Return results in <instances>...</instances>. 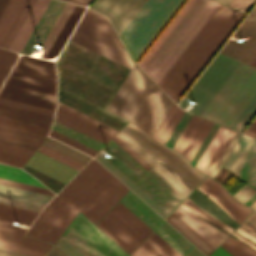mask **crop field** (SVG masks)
Here are the masks:
<instances>
[{"instance_id":"8a807250","label":"crop field","mask_w":256,"mask_h":256,"mask_svg":"<svg viewBox=\"0 0 256 256\" xmlns=\"http://www.w3.org/2000/svg\"><path fill=\"white\" fill-rule=\"evenodd\" d=\"M58 101L118 130L127 122L106 109L129 69L68 40L57 62ZM70 91L82 99L64 91Z\"/></svg>"},{"instance_id":"ac0d7876","label":"crop field","mask_w":256,"mask_h":256,"mask_svg":"<svg viewBox=\"0 0 256 256\" xmlns=\"http://www.w3.org/2000/svg\"><path fill=\"white\" fill-rule=\"evenodd\" d=\"M242 15L243 13L220 4L163 77L158 85L175 102Z\"/></svg>"},{"instance_id":"34b2d1b8","label":"crop field","mask_w":256,"mask_h":256,"mask_svg":"<svg viewBox=\"0 0 256 256\" xmlns=\"http://www.w3.org/2000/svg\"><path fill=\"white\" fill-rule=\"evenodd\" d=\"M54 62L20 56L0 90V104L54 117Z\"/></svg>"},{"instance_id":"412701ff","label":"crop field","mask_w":256,"mask_h":256,"mask_svg":"<svg viewBox=\"0 0 256 256\" xmlns=\"http://www.w3.org/2000/svg\"><path fill=\"white\" fill-rule=\"evenodd\" d=\"M218 5L212 0H188L140 60L138 64L157 84Z\"/></svg>"},{"instance_id":"f4fd0767","label":"crop field","mask_w":256,"mask_h":256,"mask_svg":"<svg viewBox=\"0 0 256 256\" xmlns=\"http://www.w3.org/2000/svg\"><path fill=\"white\" fill-rule=\"evenodd\" d=\"M153 85L170 101H168ZM108 106L107 110L123 117L141 129L153 135L154 131L165 117L172 101L161 91V89L141 70L136 64Z\"/></svg>"},{"instance_id":"dd49c442","label":"crop field","mask_w":256,"mask_h":256,"mask_svg":"<svg viewBox=\"0 0 256 256\" xmlns=\"http://www.w3.org/2000/svg\"><path fill=\"white\" fill-rule=\"evenodd\" d=\"M128 191L92 159L58 196L96 224Z\"/></svg>"},{"instance_id":"e52e79f7","label":"crop field","mask_w":256,"mask_h":256,"mask_svg":"<svg viewBox=\"0 0 256 256\" xmlns=\"http://www.w3.org/2000/svg\"><path fill=\"white\" fill-rule=\"evenodd\" d=\"M256 113V69L240 63L200 116L239 132Z\"/></svg>"},{"instance_id":"d8731c3e","label":"crop field","mask_w":256,"mask_h":256,"mask_svg":"<svg viewBox=\"0 0 256 256\" xmlns=\"http://www.w3.org/2000/svg\"><path fill=\"white\" fill-rule=\"evenodd\" d=\"M116 136L186 196L205 177V175L196 171L180 154L131 123H127ZM155 159L171 171L191 190Z\"/></svg>"},{"instance_id":"5a996713","label":"crop field","mask_w":256,"mask_h":256,"mask_svg":"<svg viewBox=\"0 0 256 256\" xmlns=\"http://www.w3.org/2000/svg\"><path fill=\"white\" fill-rule=\"evenodd\" d=\"M179 0H147L121 33L136 58Z\"/></svg>"},{"instance_id":"3316defc","label":"crop field","mask_w":256,"mask_h":256,"mask_svg":"<svg viewBox=\"0 0 256 256\" xmlns=\"http://www.w3.org/2000/svg\"><path fill=\"white\" fill-rule=\"evenodd\" d=\"M97 226L128 254L153 231L120 202Z\"/></svg>"},{"instance_id":"28ad6ade","label":"crop field","mask_w":256,"mask_h":256,"mask_svg":"<svg viewBox=\"0 0 256 256\" xmlns=\"http://www.w3.org/2000/svg\"><path fill=\"white\" fill-rule=\"evenodd\" d=\"M236 63L237 61L218 54L213 62L209 65V67L205 70V72L201 75V77L197 80V82L193 85V87L189 90V92L185 95V97L181 100L179 103L180 107L185 108L187 104L193 100L197 103L192 107L190 111L197 114L209 99V97L225 79L228 73L236 65ZM238 64L239 62L222 82V84L218 87V89L214 92V94L210 97L203 108L199 111L198 115L215 95V93L219 90V88L223 85V83L227 80L234 69L238 66Z\"/></svg>"},{"instance_id":"d1516ede","label":"crop field","mask_w":256,"mask_h":256,"mask_svg":"<svg viewBox=\"0 0 256 256\" xmlns=\"http://www.w3.org/2000/svg\"><path fill=\"white\" fill-rule=\"evenodd\" d=\"M79 212L55 196L26 234L54 244Z\"/></svg>"},{"instance_id":"22f410ed","label":"crop field","mask_w":256,"mask_h":256,"mask_svg":"<svg viewBox=\"0 0 256 256\" xmlns=\"http://www.w3.org/2000/svg\"><path fill=\"white\" fill-rule=\"evenodd\" d=\"M55 120L80 131L104 144L111 138L117 143L124 151H126L133 159H135L141 166L147 171L151 167L142 158H140L135 152H133L127 145H125L116 136L113 138L117 130L94 120L72 108H69L58 102L57 113Z\"/></svg>"},{"instance_id":"cbeb9de0","label":"crop field","mask_w":256,"mask_h":256,"mask_svg":"<svg viewBox=\"0 0 256 256\" xmlns=\"http://www.w3.org/2000/svg\"><path fill=\"white\" fill-rule=\"evenodd\" d=\"M66 230L96 256H128L80 213Z\"/></svg>"},{"instance_id":"5142ce71","label":"crop field","mask_w":256,"mask_h":256,"mask_svg":"<svg viewBox=\"0 0 256 256\" xmlns=\"http://www.w3.org/2000/svg\"><path fill=\"white\" fill-rule=\"evenodd\" d=\"M85 8L66 3L43 42V45L47 46L41 55L42 58H53L59 53Z\"/></svg>"},{"instance_id":"d9b57169","label":"crop field","mask_w":256,"mask_h":256,"mask_svg":"<svg viewBox=\"0 0 256 256\" xmlns=\"http://www.w3.org/2000/svg\"><path fill=\"white\" fill-rule=\"evenodd\" d=\"M136 185L169 214L186 197L153 168Z\"/></svg>"},{"instance_id":"733c2abd","label":"crop field","mask_w":256,"mask_h":256,"mask_svg":"<svg viewBox=\"0 0 256 256\" xmlns=\"http://www.w3.org/2000/svg\"><path fill=\"white\" fill-rule=\"evenodd\" d=\"M233 36L245 40L244 43L240 44L229 40L220 52L249 64L256 55V6ZM250 65L256 67V56Z\"/></svg>"},{"instance_id":"4a817a6b","label":"crop field","mask_w":256,"mask_h":256,"mask_svg":"<svg viewBox=\"0 0 256 256\" xmlns=\"http://www.w3.org/2000/svg\"><path fill=\"white\" fill-rule=\"evenodd\" d=\"M146 0H96L91 8L108 16L118 36Z\"/></svg>"},{"instance_id":"bc2a9ffb","label":"crop field","mask_w":256,"mask_h":256,"mask_svg":"<svg viewBox=\"0 0 256 256\" xmlns=\"http://www.w3.org/2000/svg\"><path fill=\"white\" fill-rule=\"evenodd\" d=\"M34 1H8L0 15V46L8 48Z\"/></svg>"},{"instance_id":"214f88e0","label":"crop field","mask_w":256,"mask_h":256,"mask_svg":"<svg viewBox=\"0 0 256 256\" xmlns=\"http://www.w3.org/2000/svg\"><path fill=\"white\" fill-rule=\"evenodd\" d=\"M197 188L212 199L239 224L253 211L233 199L220 184L209 177Z\"/></svg>"},{"instance_id":"92a150f3","label":"crop field","mask_w":256,"mask_h":256,"mask_svg":"<svg viewBox=\"0 0 256 256\" xmlns=\"http://www.w3.org/2000/svg\"><path fill=\"white\" fill-rule=\"evenodd\" d=\"M212 126L213 123L193 115L187 127L185 126L184 132L182 131L183 133L179 140L177 139L178 141L173 149L181 153L191 162L195 152L200 147Z\"/></svg>"},{"instance_id":"dafd665d","label":"crop field","mask_w":256,"mask_h":256,"mask_svg":"<svg viewBox=\"0 0 256 256\" xmlns=\"http://www.w3.org/2000/svg\"><path fill=\"white\" fill-rule=\"evenodd\" d=\"M71 40L131 69L133 62L125 52V50L98 38L77 27L76 31L71 37Z\"/></svg>"},{"instance_id":"00972430","label":"crop field","mask_w":256,"mask_h":256,"mask_svg":"<svg viewBox=\"0 0 256 256\" xmlns=\"http://www.w3.org/2000/svg\"><path fill=\"white\" fill-rule=\"evenodd\" d=\"M51 196L0 185V203L40 212Z\"/></svg>"},{"instance_id":"a9b5d70f","label":"crop field","mask_w":256,"mask_h":256,"mask_svg":"<svg viewBox=\"0 0 256 256\" xmlns=\"http://www.w3.org/2000/svg\"><path fill=\"white\" fill-rule=\"evenodd\" d=\"M215 249L229 235L205 223L183 203L173 212Z\"/></svg>"},{"instance_id":"4177f3b9","label":"crop field","mask_w":256,"mask_h":256,"mask_svg":"<svg viewBox=\"0 0 256 256\" xmlns=\"http://www.w3.org/2000/svg\"><path fill=\"white\" fill-rule=\"evenodd\" d=\"M65 2L51 0L45 9L43 15L29 36L27 42L21 50V53L29 54L34 48L36 43L42 44L48 30L62 10Z\"/></svg>"},{"instance_id":"730fd06b","label":"crop field","mask_w":256,"mask_h":256,"mask_svg":"<svg viewBox=\"0 0 256 256\" xmlns=\"http://www.w3.org/2000/svg\"><path fill=\"white\" fill-rule=\"evenodd\" d=\"M26 165L65 184L77 172V170L38 151H36Z\"/></svg>"},{"instance_id":"eef30255","label":"crop field","mask_w":256,"mask_h":256,"mask_svg":"<svg viewBox=\"0 0 256 256\" xmlns=\"http://www.w3.org/2000/svg\"><path fill=\"white\" fill-rule=\"evenodd\" d=\"M103 149L113 156L107 160L134 184L147 172L112 140Z\"/></svg>"},{"instance_id":"ae1a2a85","label":"crop field","mask_w":256,"mask_h":256,"mask_svg":"<svg viewBox=\"0 0 256 256\" xmlns=\"http://www.w3.org/2000/svg\"><path fill=\"white\" fill-rule=\"evenodd\" d=\"M78 26L123 48L107 18L90 9H86Z\"/></svg>"},{"instance_id":"d3111659","label":"crop field","mask_w":256,"mask_h":256,"mask_svg":"<svg viewBox=\"0 0 256 256\" xmlns=\"http://www.w3.org/2000/svg\"><path fill=\"white\" fill-rule=\"evenodd\" d=\"M50 0H36L32 6L30 12L22 23L20 29L18 30L16 36L11 42L9 49L20 52L24 43L26 42L28 36L42 15L44 9Z\"/></svg>"},{"instance_id":"750c4746","label":"crop field","mask_w":256,"mask_h":256,"mask_svg":"<svg viewBox=\"0 0 256 256\" xmlns=\"http://www.w3.org/2000/svg\"><path fill=\"white\" fill-rule=\"evenodd\" d=\"M37 214V212L0 204V229L24 234L26 229L13 226L14 222L30 225Z\"/></svg>"},{"instance_id":"bd1437ed","label":"crop field","mask_w":256,"mask_h":256,"mask_svg":"<svg viewBox=\"0 0 256 256\" xmlns=\"http://www.w3.org/2000/svg\"><path fill=\"white\" fill-rule=\"evenodd\" d=\"M153 230L163 221L152 209L129 191L120 201Z\"/></svg>"},{"instance_id":"1d83c4d3","label":"crop field","mask_w":256,"mask_h":256,"mask_svg":"<svg viewBox=\"0 0 256 256\" xmlns=\"http://www.w3.org/2000/svg\"><path fill=\"white\" fill-rule=\"evenodd\" d=\"M131 256H182L154 232Z\"/></svg>"},{"instance_id":"120bbe31","label":"crop field","mask_w":256,"mask_h":256,"mask_svg":"<svg viewBox=\"0 0 256 256\" xmlns=\"http://www.w3.org/2000/svg\"><path fill=\"white\" fill-rule=\"evenodd\" d=\"M0 116L47 127V128L50 127V124L53 119L51 117H47V116L19 110V109H15V108L3 106V105H0Z\"/></svg>"},{"instance_id":"d32e631a","label":"crop field","mask_w":256,"mask_h":256,"mask_svg":"<svg viewBox=\"0 0 256 256\" xmlns=\"http://www.w3.org/2000/svg\"><path fill=\"white\" fill-rule=\"evenodd\" d=\"M183 256L193 247L181 234H179L166 221H163L154 231Z\"/></svg>"},{"instance_id":"5866460e","label":"crop field","mask_w":256,"mask_h":256,"mask_svg":"<svg viewBox=\"0 0 256 256\" xmlns=\"http://www.w3.org/2000/svg\"><path fill=\"white\" fill-rule=\"evenodd\" d=\"M166 221L170 223L175 229H177L182 235H184L207 256H209L215 250L173 213L166 219Z\"/></svg>"},{"instance_id":"028f5c9d","label":"crop field","mask_w":256,"mask_h":256,"mask_svg":"<svg viewBox=\"0 0 256 256\" xmlns=\"http://www.w3.org/2000/svg\"><path fill=\"white\" fill-rule=\"evenodd\" d=\"M237 176L256 188V139L254 138Z\"/></svg>"},{"instance_id":"e1f06a70","label":"crop field","mask_w":256,"mask_h":256,"mask_svg":"<svg viewBox=\"0 0 256 256\" xmlns=\"http://www.w3.org/2000/svg\"><path fill=\"white\" fill-rule=\"evenodd\" d=\"M0 241L47 252L52 246L26 235L0 230Z\"/></svg>"},{"instance_id":"0bd39190","label":"crop field","mask_w":256,"mask_h":256,"mask_svg":"<svg viewBox=\"0 0 256 256\" xmlns=\"http://www.w3.org/2000/svg\"><path fill=\"white\" fill-rule=\"evenodd\" d=\"M251 139V137L241 135L240 139L236 143L235 147L233 148L232 152L230 153L229 157L223 165L224 167L232 170L235 175L239 170V167L246 154Z\"/></svg>"},{"instance_id":"b80d0937","label":"crop field","mask_w":256,"mask_h":256,"mask_svg":"<svg viewBox=\"0 0 256 256\" xmlns=\"http://www.w3.org/2000/svg\"><path fill=\"white\" fill-rule=\"evenodd\" d=\"M0 137L39 146L45 136L0 126Z\"/></svg>"},{"instance_id":"c035e120","label":"crop field","mask_w":256,"mask_h":256,"mask_svg":"<svg viewBox=\"0 0 256 256\" xmlns=\"http://www.w3.org/2000/svg\"><path fill=\"white\" fill-rule=\"evenodd\" d=\"M183 113V110L179 109L175 104H173L172 108L164 118L154 137L165 143Z\"/></svg>"},{"instance_id":"c21b1889","label":"crop field","mask_w":256,"mask_h":256,"mask_svg":"<svg viewBox=\"0 0 256 256\" xmlns=\"http://www.w3.org/2000/svg\"><path fill=\"white\" fill-rule=\"evenodd\" d=\"M51 128L72 138V139H75V140H77V141L97 150V151H99L104 146V144H102V143L82 134V133H79V132H77V131H75V130L55 121V120L53 121Z\"/></svg>"},{"instance_id":"03da06ac","label":"crop field","mask_w":256,"mask_h":256,"mask_svg":"<svg viewBox=\"0 0 256 256\" xmlns=\"http://www.w3.org/2000/svg\"><path fill=\"white\" fill-rule=\"evenodd\" d=\"M0 177L45 187L21 169L0 164Z\"/></svg>"},{"instance_id":"b54c1fbb","label":"crop field","mask_w":256,"mask_h":256,"mask_svg":"<svg viewBox=\"0 0 256 256\" xmlns=\"http://www.w3.org/2000/svg\"><path fill=\"white\" fill-rule=\"evenodd\" d=\"M43 145L55 150V151H58L68 157H71L83 164H85L89 159L90 157L77 151V150H74L64 144H61L49 137L46 138V140L44 141Z\"/></svg>"},{"instance_id":"5d738f31","label":"crop field","mask_w":256,"mask_h":256,"mask_svg":"<svg viewBox=\"0 0 256 256\" xmlns=\"http://www.w3.org/2000/svg\"><path fill=\"white\" fill-rule=\"evenodd\" d=\"M232 256H256V252L233 237H229L221 245Z\"/></svg>"},{"instance_id":"d23c7cc5","label":"crop field","mask_w":256,"mask_h":256,"mask_svg":"<svg viewBox=\"0 0 256 256\" xmlns=\"http://www.w3.org/2000/svg\"><path fill=\"white\" fill-rule=\"evenodd\" d=\"M226 131H227V128H224V127L220 126L217 133L215 134V136L211 140L210 144L206 148L205 152L203 153V155L199 159V161H198V163L196 164L195 167L197 169H199L201 172H202L203 168L205 167V165L207 164L208 160L210 159L211 155L215 151V149L218 146L219 142L221 141L222 137L226 133Z\"/></svg>"},{"instance_id":"425ffa30","label":"crop field","mask_w":256,"mask_h":256,"mask_svg":"<svg viewBox=\"0 0 256 256\" xmlns=\"http://www.w3.org/2000/svg\"><path fill=\"white\" fill-rule=\"evenodd\" d=\"M16 57L17 54L13 51L0 48V86L13 65Z\"/></svg>"},{"instance_id":"25e5ab78","label":"crop field","mask_w":256,"mask_h":256,"mask_svg":"<svg viewBox=\"0 0 256 256\" xmlns=\"http://www.w3.org/2000/svg\"><path fill=\"white\" fill-rule=\"evenodd\" d=\"M185 205H187L191 210H193L196 214H198L200 217H202L207 222L221 228L222 230L228 232L231 234L233 229L227 227L223 222L213 218L211 215H209L207 212H205L203 209L197 207L193 202H191L188 198L183 202ZM193 212V213H194Z\"/></svg>"},{"instance_id":"73cf0c24","label":"crop field","mask_w":256,"mask_h":256,"mask_svg":"<svg viewBox=\"0 0 256 256\" xmlns=\"http://www.w3.org/2000/svg\"><path fill=\"white\" fill-rule=\"evenodd\" d=\"M234 134H235V131H232V130L228 129L227 133L225 134V136L222 139L221 143L219 144L218 148L216 149V151L214 152L210 161L208 162L207 166L205 167L203 173L209 175L212 168L214 167V165L218 161L219 157L221 156V154L225 150L226 146L228 145V143L230 142V140L232 139Z\"/></svg>"},{"instance_id":"89e229c0","label":"crop field","mask_w":256,"mask_h":256,"mask_svg":"<svg viewBox=\"0 0 256 256\" xmlns=\"http://www.w3.org/2000/svg\"><path fill=\"white\" fill-rule=\"evenodd\" d=\"M0 125L13 127V128H17V129H22V130H26V131H31V132H35V133H40V134H44V135H46L49 130L47 128H43V127L31 125V124H26V123H22V122L10 120V119H5V118H1V117H0Z\"/></svg>"},{"instance_id":"1f2cbd36","label":"crop field","mask_w":256,"mask_h":256,"mask_svg":"<svg viewBox=\"0 0 256 256\" xmlns=\"http://www.w3.org/2000/svg\"><path fill=\"white\" fill-rule=\"evenodd\" d=\"M48 135L66 143L68 145H71V146H73V147L91 155V156H94L97 153V151H95V150H93V149H91V148H89V147H87V146H85V145H83V144H81L77 141H74V140H72V139H70V138L52 130V129L50 130Z\"/></svg>"},{"instance_id":"dbb93151","label":"crop field","mask_w":256,"mask_h":256,"mask_svg":"<svg viewBox=\"0 0 256 256\" xmlns=\"http://www.w3.org/2000/svg\"><path fill=\"white\" fill-rule=\"evenodd\" d=\"M38 151H40V152H42V153H44L48 156H51V157L65 163V164L77 169V170H79L83 166V164H81V163H79V162H77V161H75L71 158H68V157H66V156H64V155H62L58 152H55V151H53V150H51V149H49V148H47L43 145L40 146Z\"/></svg>"},{"instance_id":"0fb4a251","label":"crop field","mask_w":256,"mask_h":256,"mask_svg":"<svg viewBox=\"0 0 256 256\" xmlns=\"http://www.w3.org/2000/svg\"><path fill=\"white\" fill-rule=\"evenodd\" d=\"M0 183L53 196V193L49 189L38 187V186H33V185L16 182L8 179H3V178H0Z\"/></svg>"},{"instance_id":"1d79db26","label":"crop field","mask_w":256,"mask_h":256,"mask_svg":"<svg viewBox=\"0 0 256 256\" xmlns=\"http://www.w3.org/2000/svg\"><path fill=\"white\" fill-rule=\"evenodd\" d=\"M134 193H136L142 200H144L150 207H152L158 214H160L163 218H166L169 214L164 211L158 204H156L149 196H147L141 189H139L136 185L132 189Z\"/></svg>"},{"instance_id":"9d1cf04e","label":"crop field","mask_w":256,"mask_h":256,"mask_svg":"<svg viewBox=\"0 0 256 256\" xmlns=\"http://www.w3.org/2000/svg\"><path fill=\"white\" fill-rule=\"evenodd\" d=\"M0 151L27 157V158H30L31 155L34 153L33 150H29V149L9 145V144H4V143H0Z\"/></svg>"},{"instance_id":"447ae74e","label":"crop field","mask_w":256,"mask_h":256,"mask_svg":"<svg viewBox=\"0 0 256 256\" xmlns=\"http://www.w3.org/2000/svg\"><path fill=\"white\" fill-rule=\"evenodd\" d=\"M98 161H100L107 169H109L115 176H117L124 184H126L129 188H131L134 184L129 181L122 173H120L113 165H111L104 157H102L99 153L95 157ZM99 162V163H100Z\"/></svg>"},{"instance_id":"0765c3eb","label":"crop field","mask_w":256,"mask_h":256,"mask_svg":"<svg viewBox=\"0 0 256 256\" xmlns=\"http://www.w3.org/2000/svg\"><path fill=\"white\" fill-rule=\"evenodd\" d=\"M27 158L19 157V156H14L6 153H1L0 152V162L17 166V167H22V165L27 161Z\"/></svg>"},{"instance_id":"db79e9e6","label":"crop field","mask_w":256,"mask_h":256,"mask_svg":"<svg viewBox=\"0 0 256 256\" xmlns=\"http://www.w3.org/2000/svg\"><path fill=\"white\" fill-rule=\"evenodd\" d=\"M59 246L64 252H66L69 256H84L80 253L74 246H72L66 239L62 236L59 240L55 243Z\"/></svg>"},{"instance_id":"7b73153f","label":"crop field","mask_w":256,"mask_h":256,"mask_svg":"<svg viewBox=\"0 0 256 256\" xmlns=\"http://www.w3.org/2000/svg\"><path fill=\"white\" fill-rule=\"evenodd\" d=\"M62 236L64 238H66L72 245H74L85 256H95L86 247H84L78 240H76L70 233H68L66 230Z\"/></svg>"},{"instance_id":"78b8030e","label":"crop field","mask_w":256,"mask_h":256,"mask_svg":"<svg viewBox=\"0 0 256 256\" xmlns=\"http://www.w3.org/2000/svg\"><path fill=\"white\" fill-rule=\"evenodd\" d=\"M0 247L10 249V250H14V251L27 253V254H32V255H36V256H44V254H45L44 253L45 251L40 252V251H36V250H32V249H28V248H24V247H20V246H15V245L3 243V242H0Z\"/></svg>"},{"instance_id":"0f1d7ab4","label":"crop field","mask_w":256,"mask_h":256,"mask_svg":"<svg viewBox=\"0 0 256 256\" xmlns=\"http://www.w3.org/2000/svg\"><path fill=\"white\" fill-rule=\"evenodd\" d=\"M254 1L255 0H232L229 6L246 13Z\"/></svg>"},{"instance_id":"e1d0b9f6","label":"crop field","mask_w":256,"mask_h":256,"mask_svg":"<svg viewBox=\"0 0 256 256\" xmlns=\"http://www.w3.org/2000/svg\"><path fill=\"white\" fill-rule=\"evenodd\" d=\"M239 136V133L236 132V134L234 135L233 139L231 140V142L229 143V145L227 146L226 150L224 151V153L222 154V156L220 157L219 161L217 162V164L215 165V167L213 168L212 172L210 173V176L214 177L215 173L217 172V170L219 169L220 165L222 164V162L224 161L225 157L227 156L228 152L230 151V149L232 148L233 144L235 143V141L237 140Z\"/></svg>"},{"instance_id":"ae633e8c","label":"crop field","mask_w":256,"mask_h":256,"mask_svg":"<svg viewBox=\"0 0 256 256\" xmlns=\"http://www.w3.org/2000/svg\"><path fill=\"white\" fill-rule=\"evenodd\" d=\"M241 226L256 236V213L254 212Z\"/></svg>"},{"instance_id":"d14b1444","label":"crop field","mask_w":256,"mask_h":256,"mask_svg":"<svg viewBox=\"0 0 256 256\" xmlns=\"http://www.w3.org/2000/svg\"><path fill=\"white\" fill-rule=\"evenodd\" d=\"M244 134H247L249 136L256 138V117L252 121V123L248 126V128L245 130Z\"/></svg>"},{"instance_id":"c39391a2","label":"crop field","mask_w":256,"mask_h":256,"mask_svg":"<svg viewBox=\"0 0 256 256\" xmlns=\"http://www.w3.org/2000/svg\"><path fill=\"white\" fill-rule=\"evenodd\" d=\"M0 256H32L0 248Z\"/></svg>"},{"instance_id":"ade564c9","label":"crop field","mask_w":256,"mask_h":256,"mask_svg":"<svg viewBox=\"0 0 256 256\" xmlns=\"http://www.w3.org/2000/svg\"><path fill=\"white\" fill-rule=\"evenodd\" d=\"M46 256H68V255L64 253L59 247L54 245L53 248L48 252Z\"/></svg>"},{"instance_id":"c5b07064","label":"crop field","mask_w":256,"mask_h":256,"mask_svg":"<svg viewBox=\"0 0 256 256\" xmlns=\"http://www.w3.org/2000/svg\"><path fill=\"white\" fill-rule=\"evenodd\" d=\"M0 142L9 143V144H13V145H17V146L33 149V150H36V148H37L36 146H32V145H28V144H23V143L11 141V140H6V139H2V138H0Z\"/></svg>"},{"instance_id":"c3a83c6f","label":"crop field","mask_w":256,"mask_h":256,"mask_svg":"<svg viewBox=\"0 0 256 256\" xmlns=\"http://www.w3.org/2000/svg\"><path fill=\"white\" fill-rule=\"evenodd\" d=\"M235 231H237L238 233L242 234L243 236H245L246 238H248L249 240L253 241L254 243H256V237H254L253 235H251L250 233H248L247 231H245L244 229L238 227Z\"/></svg>"},{"instance_id":"fb207236","label":"crop field","mask_w":256,"mask_h":256,"mask_svg":"<svg viewBox=\"0 0 256 256\" xmlns=\"http://www.w3.org/2000/svg\"><path fill=\"white\" fill-rule=\"evenodd\" d=\"M210 256H231L220 246Z\"/></svg>"},{"instance_id":"7312dd0a","label":"crop field","mask_w":256,"mask_h":256,"mask_svg":"<svg viewBox=\"0 0 256 256\" xmlns=\"http://www.w3.org/2000/svg\"><path fill=\"white\" fill-rule=\"evenodd\" d=\"M231 235L235 236L236 238H238L239 240L243 241L244 243H246L247 245L251 246L252 248H254L256 250V245L251 243L247 239L241 237L240 235H238V234H236L234 232Z\"/></svg>"},{"instance_id":"180be81f","label":"crop field","mask_w":256,"mask_h":256,"mask_svg":"<svg viewBox=\"0 0 256 256\" xmlns=\"http://www.w3.org/2000/svg\"><path fill=\"white\" fill-rule=\"evenodd\" d=\"M64 1H68V2H72V3L87 6L91 0H64Z\"/></svg>"},{"instance_id":"f0312440","label":"crop field","mask_w":256,"mask_h":256,"mask_svg":"<svg viewBox=\"0 0 256 256\" xmlns=\"http://www.w3.org/2000/svg\"><path fill=\"white\" fill-rule=\"evenodd\" d=\"M8 0H0V13Z\"/></svg>"},{"instance_id":"1f1604b0","label":"crop field","mask_w":256,"mask_h":256,"mask_svg":"<svg viewBox=\"0 0 256 256\" xmlns=\"http://www.w3.org/2000/svg\"><path fill=\"white\" fill-rule=\"evenodd\" d=\"M217 1L222 2V3L226 4V5H228L231 0H217Z\"/></svg>"},{"instance_id":"819c52e7","label":"crop field","mask_w":256,"mask_h":256,"mask_svg":"<svg viewBox=\"0 0 256 256\" xmlns=\"http://www.w3.org/2000/svg\"><path fill=\"white\" fill-rule=\"evenodd\" d=\"M186 256H189L188 254Z\"/></svg>"}]
</instances>
